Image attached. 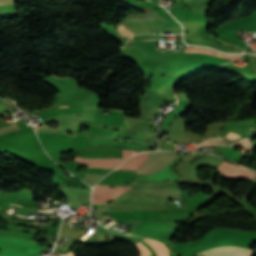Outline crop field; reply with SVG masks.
I'll list each match as a JSON object with an SVG mask.
<instances>
[{
	"label": "crop field",
	"mask_w": 256,
	"mask_h": 256,
	"mask_svg": "<svg viewBox=\"0 0 256 256\" xmlns=\"http://www.w3.org/2000/svg\"><path fill=\"white\" fill-rule=\"evenodd\" d=\"M190 52L207 53V54H212V55H216V56H220V57H224L232 60H237L241 57L240 54H237V55L224 54L213 49H209L205 47H197V46H189L188 48H186L185 53H190Z\"/></svg>",
	"instance_id": "d8731c3e"
},
{
	"label": "crop field",
	"mask_w": 256,
	"mask_h": 256,
	"mask_svg": "<svg viewBox=\"0 0 256 256\" xmlns=\"http://www.w3.org/2000/svg\"><path fill=\"white\" fill-rule=\"evenodd\" d=\"M178 158L176 159V161ZM176 162H172L166 168L154 173L148 177L137 179L136 182H153V181H165L180 178L178 174L175 173V170L171 171V168Z\"/></svg>",
	"instance_id": "dd49c442"
},
{
	"label": "crop field",
	"mask_w": 256,
	"mask_h": 256,
	"mask_svg": "<svg viewBox=\"0 0 256 256\" xmlns=\"http://www.w3.org/2000/svg\"><path fill=\"white\" fill-rule=\"evenodd\" d=\"M170 15V14H169ZM171 16V15H170ZM172 17V16H171Z\"/></svg>",
	"instance_id": "733c2abd"
},
{
	"label": "crop field",
	"mask_w": 256,
	"mask_h": 256,
	"mask_svg": "<svg viewBox=\"0 0 256 256\" xmlns=\"http://www.w3.org/2000/svg\"><path fill=\"white\" fill-rule=\"evenodd\" d=\"M36 112H38V111H36Z\"/></svg>",
	"instance_id": "214f88e0"
},
{
	"label": "crop field",
	"mask_w": 256,
	"mask_h": 256,
	"mask_svg": "<svg viewBox=\"0 0 256 256\" xmlns=\"http://www.w3.org/2000/svg\"><path fill=\"white\" fill-rule=\"evenodd\" d=\"M136 151L132 150H123L122 152V159H86L76 157L74 161H78L83 164H87L88 167H107V168H114L130 156H132Z\"/></svg>",
	"instance_id": "34b2d1b8"
},
{
	"label": "crop field",
	"mask_w": 256,
	"mask_h": 256,
	"mask_svg": "<svg viewBox=\"0 0 256 256\" xmlns=\"http://www.w3.org/2000/svg\"><path fill=\"white\" fill-rule=\"evenodd\" d=\"M0 256H37L45 248L27 238L0 235Z\"/></svg>",
	"instance_id": "8a807250"
},
{
	"label": "crop field",
	"mask_w": 256,
	"mask_h": 256,
	"mask_svg": "<svg viewBox=\"0 0 256 256\" xmlns=\"http://www.w3.org/2000/svg\"><path fill=\"white\" fill-rule=\"evenodd\" d=\"M243 69V68H242Z\"/></svg>",
	"instance_id": "dafd665d"
},
{
	"label": "crop field",
	"mask_w": 256,
	"mask_h": 256,
	"mask_svg": "<svg viewBox=\"0 0 256 256\" xmlns=\"http://www.w3.org/2000/svg\"><path fill=\"white\" fill-rule=\"evenodd\" d=\"M220 140V139H219ZM206 141H208V140H206Z\"/></svg>",
	"instance_id": "bc2a9ffb"
},
{
	"label": "crop field",
	"mask_w": 256,
	"mask_h": 256,
	"mask_svg": "<svg viewBox=\"0 0 256 256\" xmlns=\"http://www.w3.org/2000/svg\"><path fill=\"white\" fill-rule=\"evenodd\" d=\"M240 136V133L231 131L228 135H226V138H229L231 140L236 139Z\"/></svg>",
	"instance_id": "28ad6ade"
},
{
	"label": "crop field",
	"mask_w": 256,
	"mask_h": 256,
	"mask_svg": "<svg viewBox=\"0 0 256 256\" xmlns=\"http://www.w3.org/2000/svg\"><path fill=\"white\" fill-rule=\"evenodd\" d=\"M16 0H0V5L12 4Z\"/></svg>",
	"instance_id": "d1516ede"
},
{
	"label": "crop field",
	"mask_w": 256,
	"mask_h": 256,
	"mask_svg": "<svg viewBox=\"0 0 256 256\" xmlns=\"http://www.w3.org/2000/svg\"><path fill=\"white\" fill-rule=\"evenodd\" d=\"M217 169L226 176L245 178L247 180H251L256 176L255 173L226 161H224Z\"/></svg>",
	"instance_id": "f4fd0767"
},
{
	"label": "crop field",
	"mask_w": 256,
	"mask_h": 256,
	"mask_svg": "<svg viewBox=\"0 0 256 256\" xmlns=\"http://www.w3.org/2000/svg\"><path fill=\"white\" fill-rule=\"evenodd\" d=\"M64 107H68V106H64Z\"/></svg>",
	"instance_id": "d9b57169"
},
{
	"label": "crop field",
	"mask_w": 256,
	"mask_h": 256,
	"mask_svg": "<svg viewBox=\"0 0 256 256\" xmlns=\"http://www.w3.org/2000/svg\"><path fill=\"white\" fill-rule=\"evenodd\" d=\"M118 30H119V32H120L122 35H130V34L127 33L123 28H121L119 25H118Z\"/></svg>",
	"instance_id": "22f410ed"
},
{
	"label": "crop field",
	"mask_w": 256,
	"mask_h": 256,
	"mask_svg": "<svg viewBox=\"0 0 256 256\" xmlns=\"http://www.w3.org/2000/svg\"><path fill=\"white\" fill-rule=\"evenodd\" d=\"M150 134H151V133H150ZM150 134H149V135H150ZM149 135H148V136H149Z\"/></svg>",
	"instance_id": "4a817a6b"
},
{
	"label": "crop field",
	"mask_w": 256,
	"mask_h": 256,
	"mask_svg": "<svg viewBox=\"0 0 256 256\" xmlns=\"http://www.w3.org/2000/svg\"><path fill=\"white\" fill-rule=\"evenodd\" d=\"M150 152L138 154L121 164L117 169L138 170L147 159Z\"/></svg>",
	"instance_id": "e52e79f7"
},
{
	"label": "crop field",
	"mask_w": 256,
	"mask_h": 256,
	"mask_svg": "<svg viewBox=\"0 0 256 256\" xmlns=\"http://www.w3.org/2000/svg\"><path fill=\"white\" fill-rule=\"evenodd\" d=\"M63 256H74L72 253H69V254H66V255H63Z\"/></svg>",
	"instance_id": "cbeb9de0"
},
{
	"label": "crop field",
	"mask_w": 256,
	"mask_h": 256,
	"mask_svg": "<svg viewBox=\"0 0 256 256\" xmlns=\"http://www.w3.org/2000/svg\"><path fill=\"white\" fill-rule=\"evenodd\" d=\"M11 112V111H10Z\"/></svg>",
	"instance_id": "92a150f3"
},
{
	"label": "crop field",
	"mask_w": 256,
	"mask_h": 256,
	"mask_svg": "<svg viewBox=\"0 0 256 256\" xmlns=\"http://www.w3.org/2000/svg\"><path fill=\"white\" fill-rule=\"evenodd\" d=\"M101 186V185H96ZM109 187V186H103ZM131 187L110 186V188L94 187L92 194V203H107L109 200L116 198Z\"/></svg>",
	"instance_id": "ac0d7876"
},
{
	"label": "crop field",
	"mask_w": 256,
	"mask_h": 256,
	"mask_svg": "<svg viewBox=\"0 0 256 256\" xmlns=\"http://www.w3.org/2000/svg\"><path fill=\"white\" fill-rule=\"evenodd\" d=\"M204 256H254L255 252L240 247H219L201 252Z\"/></svg>",
	"instance_id": "412701ff"
},
{
	"label": "crop field",
	"mask_w": 256,
	"mask_h": 256,
	"mask_svg": "<svg viewBox=\"0 0 256 256\" xmlns=\"http://www.w3.org/2000/svg\"><path fill=\"white\" fill-rule=\"evenodd\" d=\"M240 145L244 147H252V142H249V138L240 140Z\"/></svg>",
	"instance_id": "3316defc"
},
{
	"label": "crop field",
	"mask_w": 256,
	"mask_h": 256,
	"mask_svg": "<svg viewBox=\"0 0 256 256\" xmlns=\"http://www.w3.org/2000/svg\"><path fill=\"white\" fill-rule=\"evenodd\" d=\"M234 153L235 152L233 151L232 147H227L226 150L223 152L222 156L230 159Z\"/></svg>",
	"instance_id": "5a996713"
},
{
	"label": "crop field",
	"mask_w": 256,
	"mask_h": 256,
	"mask_svg": "<svg viewBox=\"0 0 256 256\" xmlns=\"http://www.w3.org/2000/svg\"><path fill=\"white\" fill-rule=\"evenodd\" d=\"M215 143H219V142H215ZM198 144H205V143H198Z\"/></svg>",
	"instance_id": "5142ce71"
}]
</instances>
